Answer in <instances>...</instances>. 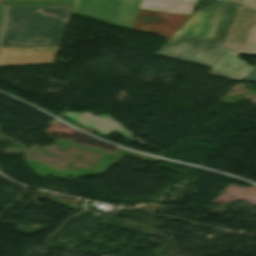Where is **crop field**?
Instances as JSON below:
<instances>
[{
    "instance_id": "11",
    "label": "crop field",
    "mask_w": 256,
    "mask_h": 256,
    "mask_svg": "<svg viewBox=\"0 0 256 256\" xmlns=\"http://www.w3.org/2000/svg\"><path fill=\"white\" fill-rule=\"evenodd\" d=\"M242 2L256 6V0H243Z\"/></svg>"
},
{
    "instance_id": "13",
    "label": "crop field",
    "mask_w": 256,
    "mask_h": 256,
    "mask_svg": "<svg viewBox=\"0 0 256 256\" xmlns=\"http://www.w3.org/2000/svg\"><path fill=\"white\" fill-rule=\"evenodd\" d=\"M238 1H240V0H238Z\"/></svg>"
},
{
    "instance_id": "4",
    "label": "crop field",
    "mask_w": 256,
    "mask_h": 256,
    "mask_svg": "<svg viewBox=\"0 0 256 256\" xmlns=\"http://www.w3.org/2000/svg\"><path fill=\"white\" fill-rule=\"evenodd\" d=\"M221 45L239 53H256V8L240 5Z\"/></svg>"
},
{
    "instance_id": "8",
    "label": "crop field",
    "mask_w": 256,
    "mask_h": 256,
    "mask_svg": "<svg viewBox=\"0 0 256 256\" xmlns=\"http://www.w3.org/2000/svg\"><path fill=\"white\" fill-rule=\"evenodd\" d=\"M75 0H8L7 4L69 6Z\"/></svg>"
},
{
    "instance_id": "12",
    "label": "crop field",
    "mask_w": 256,
    "mask_h": 256,
    "mask_svg": "<svg viewBox=\"0 0 256 256\" xmlns=\"http://www.w3.org/2000/svg\"><path fill=\"white\" fill-rule=\"evenodd\" d=\"M5 0H0V4H4Z\"/></svg>"
},
{
    "instance_id": "10",
    "label": "crop field",
    "mask_w": 256,
    "mask_h": 256,
    "mask_svg": "<svg viewBox=\"0 0 256 256\" xmlns=\"http://www.w3.org/2000/svg\"><path fill=\"white\" fill-rule=\"evenodd\" d=\"M4 8L5 6H0V29H1L2 19H3Z\"/></svg>"
},
{
    "instance_id": "7",
    "label": "crop field",
    "mask_w": 256,
    "mask_h": 256,
    "mask_svg": "<svg viewBox=\"0 0 256 256\" xmlns=\"http://www.w3.org/2000/svg\"><path fill=\"white\" fill-rule=\"evenodd\" d=\"M197 0H143L139 9L189 15Z\"/></svg>"
},
{
    "instance_id": "1",
    "label": "crop field",
    "mask_w": 256,
    "mask_h": 256,
    "mask_svg": "<svg viewBox=\"0 0 256 256\" xmlns=\"http://www.w3.org/2000/svg\"><path fill=\"white\" fill-rule=\"evenodd\" d=\"M239 3L222 0L199 9L155 54L212 68L208 74L240 81L253 68L219 46Z\"/></svg>"
},
{
    "instance_id": "5",
    "label": "crop field",
    "mask_w": 256,
    "mask_h": 256,
    "mask_svg": "<svg viewBox=\"0 0 256 256\" xmlns=\"http://www.w3.org/2000/svg\"><path fill=\"white\" fill-rule=\"evenodd\" d=\"M191 16L139 10L131 29L171 38Z\"/></svg>"
},
{
    "instance_id": "9",
    "label": "crop field",
    "mask_w": 256,
    "mask_h": 256,
    "mask_svg": "<svg viewBox=\"0 0 256 256\" xmlns=\"http://www.w3.org/2000/svg\"><path fill=\"white\" fill-rule=\"evenodd\" d=\"M243 80L256 82V66L249 72V74Z\"/></svg>"
},
{
    "instance_id": "2",
    "label": "crop field",
    "mask_w": 256,
    "mask_h": 256,
    "mask_svg": "<svg viewBox=\"0 0 256 256\" xmlns=\"http://www.w3.org/2000/svg\"><path fill=\"white\" fill-rule=\"evenodd\" d=\"M71 9L6 5L0 65L54 63Z\"/></svg>"
},
{
    "instance_id": "6",
    "label": "crop field",
    "mask_w": 256,
    "mask_h": 256,
    "mask_svg": "<svg viewBox=\"0 0 256 256\" xmlns=\"http://www.w3.org/2000/svg\"><path fill=\"white\" fill-rule=\"evenodd\" d=\"M63 116L73 120L74 122L84 126L90 127L98 132V134L106 137L113 132H118L127 138L134 137L126 128L118 123L109 114L94 115L90 112L83 114L76 112H66Z\"/></svg>"
},
{
    "instance_id": "3",
    "label": "crop field",
    "mask_w": 256,
    "mask_h": 256,
    "mask_svg": "<svg viewBox=\"0 0 256 256\" xmlns=\"http://www.w3.org/2000/svg\"><path fill=\"white\" fill-rule=\"evenodd\" d=\"M141 0H76L72 14L131 28Z\"/></svg>"
}]
</instances>
